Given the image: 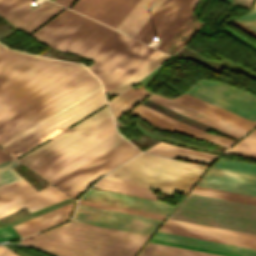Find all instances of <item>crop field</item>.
I'll use <instances>...</instances> for the list:
<instances>
[{"instance_id":"crop-field-1","label":"crop field","mask_w":256,"mask_h":256,"mask_svg":"<svg viewBox=\"0 0 256 256\" xmlns=\"http://www.w3.org/2000/svg\"><path fill=\"white\" fill-rule=\"evenodd\" d=\"M93 78L81 65L37 56L1 75L0 134Z\"/></svg>"},{"instance_id":"crop-field-2","label":"crop field","mask_w":256,"mask_h":256,"mask_svg":"<svg viewBox=\"0 0 256 256\" xmlns=\"http://www.w3.org/2000/svg\"><path fill=\"white\" fill-rule=\"evenodd\" d=\"M147 237L70 222L20 243L58 256H133Z\"/></svg>"},{"instance_id":"crop-field-3","label":"crop field","mask_w":256,"mask_h":256,"mask_svg":"<svg viewBox=\"0 0 256 256\" xmlns=\"http://www.w3.org/2000/svg\"><path fill=\"white\" fill-rule=\"evenodd\" d=\"M206 168L142 153L103 178L151 187L173 196L175 192L186 194Z\"/></svg>"},{"instance_id":"crop-field-4","label":"crop field","mask_w":256,"mask_h":256,"mask_svg":"<svg viewBox=\"0 0 256 256\" xmlns=\"http://www.w3.org/2000/svg\"><path fill=\"white\" fill-rule=\"evenodd\" d=\"M170 219L256 234V206L189 194Z\"/></svg>"},{"instance_id":"crop-field-5","label":"crop field","mask_w":256,"mask_h":256,"mask_svg":"<svg viewBox=\"0 0 256 256\" xmlns=\"http://www.w3.org/2000/svg\"><path fill=\"white\" fill-rule=\"evenodd\" d=\"M113 31L66 9L31 35L58 50L81 56Z\"/></svg>"},{"instance_id":"crop-field-6","label":"crop field","mask_w":256,"mask_h":256,"mask_svg":"<svg viewBox=\"0 0 256 256\" xmlns=\"http://www.w3.org/2000/svg\"><path fill=\"white\" fill-rule=\"evenodd\" d=\"M105 105L99 90L3 149L17 158Z\"/></svg>"},{"instance_id":"crop-field-7","label":"crop field","mask_w":256,"mask_h":256,"mask_svg":"<svg viewBox=\"0 0 256 256\" xmlns=\"http://www.w3.org/2000/svg\"><path fill=\"white\" fill-rule=\"evenodd\" d=\"M197 185L256 196V165L219 159Z\"/></svg>"},{"instance_id":"crop-field-8","label":"crop field","mask_w":256,"mask_h":256,"mask_svg":"<svg viewBox=\"0 0 256 256\" xmlns=\"http://www.w3.org/2000/svg\"><path fill=\"white\" fill-rule=\"evenodd\" d=\"M186 94L256 122V97L222 83L200 81Z\"/></svg>"},{"instance_id":"crop-field-9","label":"crop field","mask_w":256,"mask_h":256,"mask_svg":"<svg viewBox=\"0 0 256 256\" xmlns=\"http://www.w3.org/2000/svg\"><path fill=\"white\" fill-rule=\"evenodd\" d=\"M137 153L130 144L124 142L54 185L73 197L85 190L93 180Z\"/></svg>"},{"instance_id":"crop-field-10","label":"crop field","mask_w":256,"mask_h":256,"mask_svg":"<svg viewBox=\"0 0 256 256\" xmlns=\"http://www.w3.org/2000/svg\"><path fill=\"white\" fill-rule=\"evenodd\" d=\"M72 221L147 235H150L161 222L160 220L80 205L77 206Z\"/></svg>"},{"instance_id":"crop-field-11","label":"crop field","mask_w":256,"mask_h":256,"mask_svg":"<svg viewBox=\"0 0 256 256\" xmlns=\"http://www.w3.org/2000/svg\"><path fill=\"white\" fill-rule=\"evenodd\" d=\"M140 43L135 39L115 31L85 53L83 57L95 61L87 68L97 76Z\"/></svg>"},{"instance_id":"crop-field-12","label":"crop field","mask_w":256,"mask_h":256,"mask_svg":"<svg viewBox=\"0 0 256 256\" xmlns=\"http://www.w3.org/2000/svg\"><path fill=\"white\" fill-rule=\"evenodd\" d=\"M62 193L51 186L37 192L25 180L0 189V217Z\"/></svg>"},{"instance_id":"crop-field-13","label":"crop field","mask_w":256,"mask_h":256,"mask_svg":"<svg viewBox=\"0 0 256 256\" xmlns=\"http://www.w3.org/2000/svg\"><path fill=\"white\" fill-rule=\"evenodd\" d=\"M160 51L142 43L99 76L104 92H107Z\"/></svg>"},{"instance_id":"crop-field-14","label":"crop field","mask_w":256,"mask_h":256,"mask_svg":"<svg viewBox=\"0 0 256 256\" xmlns=\"http://www.w3.org/2000/svg\"><path fill=\"white\" fill-rule=\"evenodd\" d=\"M132 113H134L138 117L144 119L145 121H147L155 126H158V127H161V128L173 131V132L197 137V138L204 139V140L214 142V143H217L220 145H224L227 147H229L231 144H233L235 142V140H231L228 138H224L221 136H217L214 134L204 132L202 130H199L190 125H187L185 123H182L180 121L172 119L168 116H165L163 114H160L158 112L150 110L141 105H139L135 109H133Z\"/></svg>"},{"instance_id":"crop-field-15","label":"crop field","mask_w":256,"mask_h":256,"mask_svg":"<svg viewBox=\"0 0 256 256\" xmlns=\"http://www.w3.org/2000/svg\"><path fill=\"white\" fill-rule=\"evenodd\" d=\"M199 0H176L144 41L150 42L154 35L161 38L158 48L162 49L173 34L179 29L189 15L194 11Z\"/></svg>"},{"instance_id":"crop-field-16","label":"crop field","mask_w":256,"mask_h":256,"mask_svg":"<svg viewBox=\"0 0 256 256\" xmlns=\"http://www.w3.org/2000/svg\"><path fill=\"white\" fill-rule=\"evenodd\" d=\"M83 200L167 215L172 206L163 202L90 189Z\"/></svg>"},{"instance_id":"crop-field-17","label":"crop field","mask_w":256,"mask_h":256,"mask_svg":"<svg viewBox=\"0 0 256 256\" xmlns=\"http://www.w3.org/2000/svg\"><path fill=\"white\" fill-rule=\"evenodd\" d=\"M31 1H22L2 17L14 26L30 33L64 8L47 1L33 12L24 7Z\"/></svg>"},{"instance_id":"crop-field-18","label":"crop field","mask_w":256,"mask_h":256,"mask_svg":"<svg viewBox=\"0 0 256 256\" xmlns=\"http://www.w3.org/2000/svg\"><path fill=\"white\" fill-rule=\"evenodd\" d=\"M123 141H125V139L116 132L73 160L43 177L54 184Z\"/></svg>"},{"instance_id":"crop-field-19","label":"crop field","mask_w":256,"mask_h":256,"mask_svg":"<svg viewBox=\"0 0 256 256\" xmlns=\"http://www.w3.org/2000/svg\"><path fill=\"white\" fill-rule=\"evenodd\" d=\"M148 100L155 102L159 105H162L168 109H171L175 112H178L180 114H183L187 117H190L192 119H195L197 121H200L204 124H207L209 126H212L216 129H219L221 131H224L226 133H229L233 136H236L238 138H240L241 136H243L245 133H247V131L242 130L238 127H235L233 125H230L226 122H223L222 120L215 118L213 116H210L208 114H205L203 112H200L198 110H195L193 108H190L188 106H185L183 104H180L178 102H175L173 100L170 99H166L162 96L159 95H155V94H151L150 97L148 98Z\"/></svg>"},{"instance_id":"crop-field-20","label":"crop field","mask_w":256,"mask_h":256,"mask_svg":"<svg viewBox=\"0 0 256 256\" xmlns=\"http://www.w3.org/2000/svg\"><path fill=\"white\" fill-rule=\"evenodd\" d=\"M159 232H165L175 235H181L186 237H192L202 240H208L213 242H219L224 244H230L240 247H246L251 249H256V240L246 239V238H240L225 234H219L209 231H203L193 228H187L177 225H171L163 223L162 226L158 230Z\"/></svg>"},{"instance_id":"crop-field-21","label":"crop field","mask_w":256,"mask_h":256,"mask_svg":"<svg viewBox=\"0 0 256 256\" xmlns=\"http://www.w3.org/2000/svg\"><path fill=\"white\" fill-rule=\"evenodd\" d=\"M108 115H110L108 107H105L18 160L27 165Z\"/></svg>"},{"instance_id":"crop-field-22","label":"crop field","mask_w":256,"mask_h":256,"mask_svg":"<svg viewBox=\"0 0 256 256\" xmlns=\"http://www.w3.org/2000/svg\"><path fill=\"white\" fill-rule=\"evenodd\" d=\"M164 0H139L116 29L135 36Z\"/></svg>"},{"instance_id":"crop-field-23","label":"crop field","mask_w":256,"mask_h":256,"mask_svg":"<svg viewBox=\"0 0 256 256\" xmlns=\"http://www.w3.org/2000/svg\"><path fill=\"white\" fill-rule=\"evenodd\" d=\"M111 124H113L111 116H108L27 166L35 171Z\"/></svg>"},{"instance_id":"crop-field-24","label":"crop field","mask_w":256,"mask_h":256,"mask_svg":"<svg viewBox=\"0 0 256 256\" xmlns=\"http://www.w3.org/2000/svg\"><path fill=\"white\" fill-rule=\"evenodd\" d=\"M73 203L15 225L13 228L21 237H24L54 224L65 221L69 218Z\"/></svg>"},{"instance_id":"crop-field-25","label":"crop field","mask_w":256,"mask_h":256,"mask_svg":"<svg viewBox=\"0 0 256 256\" xmlns=\"http://www.w3.org/2000/svg\"><path fill=\"white\" fill-rule=\"evenodd\" d=\"M144 152L205 164H209L218 157L217 155L194 151L162 142Z\"/></svg>"},{"instance_id":"crop-field-26","label":"crop field","mask_w":256,"mask_h":256,"mask_svg":"<svg viewBox=\"0 0 256 256\" xmlns=\"http://www.w3.org/2000/svg\"><path fill=\"white\" fill-rule=\"evenodd\" d=\"M152 238L158 239V240L174 242V243L190 245V246L206 248V249H212V250H217V251H222V252H228V253H233V254H238V255L256 256V250L240 248V247H235V246H230V245H224V244H219V243H213V242H208V241H202V240L186 238V237H181V236H175V235H170V234H165V233L156 232Z\"/></svg>"},{"instance_id":"crop-field-27","label":"crop field","mask_w":256,"mask_h":256,"mask_svg":"<svg viewBox=\"0 0 256 256\" xmlns=\"http://www.w3.org/2000/svg\"><path fill=\"white\" fill-rule=\"evenodd\" d=\"M137 1L138 0H106L92 19L115 28Z\"/></svg>"},{"instance_id":"crop-field-28","label":"crop field","mask_w":256,"mask_h":256,"mask_svg":"<svg viewBox=\"0 0 256 256\" xmlns=\"http://www.w3.org/2000/svg\"><path fill=\"white\" fill-rule=\"evenodd\" d=\"M173 100L178 101L180 103H183L185 105H188L190 107H193L195 109H198L200 111H203L205 113H208L210 115H213L215 117H218L220 119H223V120H225L227 122H230V123H232L234 125L242 127V128H244L246 130H248L253 125H255V123H253V122H250V121H248L246 119H243V118L238 117V116H236L234 114L226 112V111H224L222 109L214 107V106H212L210 104L202 102V101H200L198 99L190 97V96H188L186 94H183V95H181V96H179V97H177V98H175Z\"/></svg>"},{"instance_id":"crop-field-29","label":"crop field","mask_w":256,"mask_h":256,"mask_svg":"<svg viewBox=\"0 0 256 256\" xmlns=\"http://www.w3.org/2000/svg\"><path fill=\"white\" fill-rule=\"evenodd\" d=\"M114 132H116L115 127L114 125H111L108 128L101 131L100 133L96 134L95 136L91 137L90 139L86 140L80 145L76 146L72 150L68 151L67 153L63 154L62 156L58 157L52 162L48 163L44 167L40 169L38 168L39 170L35 172L39 173L42 176L47 174L48 172L52 171L56 167L75 157L79 153L83 152L84 150L88 149L89 147L93 146L94 144L98 143L99 141L103 140L104 138H106L107 136L111 135Z\"/></svg>"},{"instance_id":"crop-field-30","label":"crop field","mask_w":256,"mask_h":256,"mask_svg":"<svg viewBox=\"0 0 256 256\" xmlns=\"http://www.w3.org/2000/svg\"><path fill=\"white\" fill-rule=\"evenodd\" d=\"M201 24L202 23H200L192 13L185 23L180 27V29L175 33V35L170 39V41L165 45L162 51L173 55L188 42Z\"/></svg>"},{"instance_id":"crop-field-31","label":"crop field","mask_w":256,"mask_h":256,"mask_svg":"<svg viewBox=\"0 0 256 256\" xmlns=\"http://www.w3.org/2000/svg\"><path fill=\"white\" fill-rule=\"evenodd\" d=\"M148 94L149 92L145 91L143 87L137 90L130 87L109 103L113 117L122 115Z\"/></svg>"},{"instance_id":"crop-field-32","label":"crop field","mask_w":256,"mask_h":256,"mask_svg":"<svg viewBox=\"0 0 256 256\" xmlns=\"http://www.w3.org/2000/svg\"><path fill=\"white\" fill-rule=\"evenodd\" d=\"M138 256H220L148 242Z\"/></svg>"},{"instance_id":"crop-field-33","label":"crop field","mask_w":256,"mask_h":256,"mask_svg":"<svg viewBox=\"0 0 256 256\" xmlns=\"http://www.w3.org/2000/svg\"><path fill=\"white\" fill-rule=\"evenodd\" d=\"M93 187L99 188V189L115 191V192H120V193L136 195V196L150 198V199H154V200H156L158 198H160L162 200L165 199L163 197L153 194L149 190V188L130 185V184H124V183H119V182H114V181H109V180H104V179H101Z\"/></svg>"},{"instance_id":"crop-field-34","label":"crop field","mask_w":256,"mask_h":256,"mask_svg":"<svg viewBox=\"0 0 256 256\" xmlns=\"http://www.w3.org/2000/svg\"><path fill=\"white\" fill-rule=\"evenodd\" d=\"M168 57H169L168 55H166L162 52L159 53L157 56H155L153 59H151L145 65L140 67L138 70H136L130 76H128L126 79L121 81L119 84H117L111 90H109L107 93L114 94V95L120 94L122 91H124L126 88H128L130 85H132L134 82H136L138 79H140L142 76H144L146 73H148L150 70H152L154 67H156L158 64H160L162 61H164Z\"/></svg>"},{"instance_id":"crop-field-35","label":"crop field","mask_w":256,"mask_h":256,"mask_svg":"<svg viewBox=\"0 0 256 256\" xmlns=\"http://www.w3.org/2000/svg\"><path fill=\"white\" fill-rule=\"evenodd\" d=\"M97 82L99 81L96 78L91 80L90 82L86 83L85 85L81 86L80 88L76 89L70 94L64 96L63 98L59 99L58 101L54 102L53 104L49 105L48 107L44 108L43 110L29 117L28 119L24 120L18 125L2 133L0 135V141L6 138L7 136L11 135L12 133L16 132L17 130L21 129L22 127L26 126L27 124L31 123L32 121L36 120L37 118L41 117L42 115L46 114L47 112L54 109L55 107L59 106L60 104L64 103L65 101L69 100L70 98L74 97L75 95L79 94L80 92L84 91L85 89L89 88L90 86L94 85Z\"/></svg>"},{"instance_id":"crop-field-36","label":"crop field","mask_w":256,"mask_h":256,"mask_svg":"<svg viewBox=\"0 0 256 256\" xmlns=\"http://www.w3.org/2000/svg\"><path fill=\"white\" fill-rule=\"evenodd\" d=\"M203 196L256 205V197L195 186L191 192Z\"/></svg>"},{"instance_id":"crop-field-37","label":"crop field","mask_w":256,"mask_h":256,"mask_svg":"<svg viewBox=\"0 0 256 256\" xmlns=\"http://www.w3.org/2000/svg\"><path fill=\"white\" fill-rule=\"evenodd\" d=\"M30 57H32V55L8 49L3 51L0 53V75L29 59Z\"/></svg>"},{"instance_id":"crop-field-38","label":"crop field","mask_w":256,"mask_h":256,"mask_svg":"<svg viewBox=\"0 0 256 256\" xmlns=\"http://www.w3.org/2000/svg\"><path fill=\"white\" fill-rule=\"evenodd\" d=\"M19 164L21 163L14 158L0 163V188L23 180L22 177L14 172L15 170L11 169Z\"/></svg>"},{"instance_id":"crop-field-39","label":"crop field","mask_w":256,"mask_h":256,"mask_svg":"<svg viewBox=\"0 0 256 256\" xmlns=\"http://www.w3.org/2000/svg\"><path fill=\"white\" fill-rule=\"evenodd\" d=\"M174 2L175 0H165L163 4L158 8V10L147 21V23L142 27V29L137 33L135 38L142 41Z\"/></svg>"},{"instance_id":"crop-field-40","label":"crop field","mask_w":256,"mask_h":256,"mask_svg":"<svg viewBox=\"0 0 256 256\" xmlns=\"http://www.w3.org/2000/svg\"><path fill=\"white\" fill-rule=\"evenodd\" d=\"M78 204L101 208V209L112 210V211H117V212H123V213H128V214H133V215H139V216H144V217H149V218H155V219H160V220H163V218H164L163 215L152 214V213H147V212H142V211H136V210L126 209V208H120V207H115V206H110V205H104V204H99V203H94V202L83 201V200H80Z\"/></svg>"},{"instance_id":"crop-field-41","label":"crop field","mask_w":256,"mask_h":256,"mask_svg":"<svg viewBox=\"0 0 256 256\" xmlns=\"http://www.w3.org/2000/svg\"><path fill=\"white\" fill-rule=\"evenodd\" d=\"M98 86H100V83L95 84L94 86L90 87L89 89L85 90L84 92L80 93L79 95L75 96L74 98L70 99L69 101L65 102L64 104L60 105L59 107L55 108L54 110L50 111L46 115L42 116L41 118L37 119L36 121L32 122L31 124L27 125L26 127L22 128L21 130L17 131L16 133L7 137L6 139L2 140L0 142V145H2L5 142L9 141L10 139L14 138L15 136L19 135L20 133L24 132L28 128L32 127L33 125L37 124L38 122H40L43 119L47 118L48 116L52 115L53 113L57 112L58 110L62 109L65 106H67L68 104L72 103L76 99L80 98L81 96L85 95L86 93L90 92L91 90L95 89Z\"/></svg>"},{"instance_id":"crop-field-42","label":"crop field","mask_w":256,"mask_h":256,"mask_svg":"<svg viewBox=\"0 0 256 256\" xmlns=\"http://www.w3.org/2000/svg\"><path fill=\"white\" fill-rule=\"evenodd\" d=\"M104 1L105 0H78L72 10L91 18Z\"/></svg>"},{"instance_id":"crop-field-43","label":"crop field","mask_w":256,"mask_h":256,"mask_svg":"<svg viewBox=\"0 0 256 256\" xmlns=\"http://www.w3.org/2000/svg\"><path fill=\"white\" fill-rule=\"evenodd\" d=\"M165 222L166 223L177 224V225H182V226L198 228V229L214 231V232H220V233H225V234H230V235H236V236H241V237H246V238L256 239V235H250V234L234 232V231H229V230H224V229H218V228H213V227H208V226H202V225H197V224H192V223H186V222H181V221H176V220L167 219Z\"/></svg>"},{"instance_id":"crop-field-44","label":"crop field","mask_w":256,"mask_h":256,"mask_svg":"<svg viewBox=\"0 0 256 256\" xmlns=\"http://www.w3.org/2000/svg\"><path fill=\"white\" fill-rule=\"evenodd\" d=\"M101 89V87L96 88L95 90L91 91L90 93L86 94L85 96L81 97L80 99L76 100L75 102H73L72 104L68 105L67 107L63 108L62 110L58 111L57 113L53 114L52 116L48 117L47 119L43 120L42 122L38 123L37 125L33 126L32 128L28 129L27 131H25L24 133L20 134L19 136L15 137L14 139L10 140L9 142L5 143L4 145L0 146V147H5L8 144L12 143L13 141L17 140L18 138H20L21 136L25 135L26 133L30 132L31 130L35 129L36 127L40 126L41 124L45 123L46 121L50 120L51 118H53L54 116L58 115L59 113L63 112L64 110L68 109L69 107L73 106L74 104L78 103L79 101L83 100L84 98H86L87 96L91 95L92 93L96 92L97 90ZM98 92V91H97ZM93 95V94H92ZM88 98V97H87Z\"/></svg>"},{"instance_id":"crop-field-45","label":"crop field","mask_w":256,"mask_h":256,"mask_svg":"<svg viewBox=\"0 0 256 256\" xmlns=\"http://www.w3.org/2000/svg\"><path fill=\"white\" fill-rule=\"evenodd\" d=\"M66 198H68V196H66L64 193H62V194H60V195H57V196L52 197V198H49V199L44 200V201H42V202H39V203H37V204L31 205V206L27 207L26 209H23V211H24L26 214H28V213H30V212H33V211H35V210H38V209L43 208V207H45V206L51 205V204H53V203H56V202H58V201H61V200H63V199H66Z\"/></svg>"},{"instance_id":"crop-field-46","label":"crop field","mask_w":256,"mask_h":256,"mask_svg":"<svg viewBox=\"0 0 256 256\" xmlns=\"http://www.w3.org/2000/svg\"><path fill=\"white\" fill-rule=\"evenodd\" d=\"M256 32V8L245 17L236 20Z\"/></svg>"},{"instance_id":"crop-field-47","label":"crop field","mask_w":256,"mask_h":256,"mask_svg":"<svg viewBox=\"0 0 256 256\" xmlns=\"http://www.w3.org/2000/svg\"><path fill=\"white\" fill-rule=\"evenodd\" d=\"M235 148L256 152V139L245 137L241 140Z\"/></svg>"},{"instance_id":"crop-field-48","label":"crop field","mask_w":256,"mask_h":256,"mask_svg":"<svg viewBox=\"0 0 256 256\" xmlns=\"http://www.w3.org/2000/svg\"><path fill=\"white\" fill-rule=\"evenodd\" d=\"M17 238L20 237L15 233V231L11 227H0V241H6Z\"/></svg>"},{"instance_id":"crop-field-49","label":"crop field","mask_w":256,"mask_h":256,"mask_svg":"<svg viewBox=\"0 0 256 256\" xmlns=\"http://www.w3.org/2000/svg\"><path fill=\"white\" fill-rule=\"evenodd\" d=\"M150 241H151V242H156V243H162V244L172 245V246H178V247L188 248V249H194V250L204 251V252H210V253H215V254H220V255L238 256V255H233V254H228V253H222V252H217V251H212V250H206V249H201V248H196V247H190V246H185V245H180V244H174V243H169V242H164V241H158V240H153V239H150Z\"/></svg>"},{"instance_id":"crop-field-50","label":"crop field","mask_w":256,"mask_h":256,"mask_svg":"<svg viewBox=\"0 0 256 256\" xmlns=\"http://www.w3.org/2000/svg\"><path fill=\"white\" fill-rule=\"evenodd\" d=\"M22 0H0V15L2 16Z\"/></svg>"},{"instance_id":"crop-field-51","label":"crop field","mask_w":256,"mask_h":256,"mask_svg":"<svg viewBox=\"0 0 256 256\" xmlns=\"http://www.w3.org/2000/svg\"><path fill=\"white\" fill-rule=\"evenodd\" d=\"M226 154H232V155H237V156H242V157H247V158H252L256 159V153L248 152V151H243L235 148L228 149Z\"/></svg>"},{"instance_id":"crop-field-52","label":"crop field","mask_w":256,"mask_h":256,"mask_svg":"<svg viewBox=\"0 0 256 256\" xmlns=\"http://www.w3.org/2000/svg\"><path fill=\"white\" fill-rule=\"evenodd\" d=\"M235 5L244 6L250 8L253 0H227Z\"/></svg>"},{"instance_id":"crop-field-53","label":"crop field","mask_w":256,"mask_h":256,"mask_svg":"<svg viewBox=\"0 0 256 256\" xmlns=\"http://www.w3.org/2000/svg\"><path fill=\"white\" fill-rule=\"evenodd\" d=\"M233 25H235L236 27H238L239 29L243 30L244 32H246L247 34L251 35L252 37L256 38V33L253 32L252 30L248 29L247 27L241 25L240 23L238 22H233L231 23Z\"/></svg>"},{"instance_id":"crop-field-54","label":"crop field","mask_w":256,"mask_h":256,"mask_svg":"<svg viewBox=\"0 0 256 256\" xmlns=\"http://www.w3.org/2000/svg\"><path fill=\"white\" fill-rule=\"evenodd\" d=\"M0 256H18L11 251L7 250L6 248L0 246Z\"/></svg>"},{"instance_id":"crop-field-55","label":"crop field","mask_w":256,"mask_h":256,"mask_svg":"<svg viewBox=\"0 0 256 256\" xmlns=\"http://www.w3.org/2000/svg\"><path fill=\"white\" fill-rule=\"evenodd\" d=\"M75 0H54V2H57V3H59V4H62V5H64V6H66V7H70L71 6V4L74 2Z\"/></svg>"},{"instance_id":"crop-field-56","label":"crop field","mask_w":256,"mask_h":256,"mask_svg":"<svg viewBox=\"0 0 256 256\" xmlns=\"http://www.w3.org/2000/svg\"><path fill=\"white\" fill-rule=\"evenodd\" d=\"M10 158H12V157L7 155V154H5L3 156H0V162L5 161V160L10 159Z\"/></svg>"},{"instance_id":"crop-field-57","label":"crop field","mask_w":256,"mask_h":256,"mask_svg":"<svg viewBox=\"0 0 256 256\" xmlns=\"http://www.w3.org/2000/svg\"><path fill=\"white\" fill-rule=\"evenodd\" d=\"M248 137H252V138H256V129L254 131H252L249 135H247Z\"/></svg>"},{"instance_id":"crop-field-58","label":"crop field","mask_w":256,"mask_h":256,"mask_svg":"<svg viewBox=\"0 0 256 256\" xmlns=\"http://www.w3.org/2000/svg\"><path fill=\"white\" fill-rule=\"evenodd\" d=\"M5 49H7V48H5L4 46H2V45L0 44V52L3 51V50H5Z\"/></svg>"},{"instance_id":"crop-field-59","label":"crop field","mask_w":256,"mask_h":256,"mask_svg":"<svg viewBox=\"0 0 256 256\" xmlns=\"http://www.w3.org/2000/svg\"><path fill=\"white\" fill-rule=\"evenodd\" d=\"M3 154H5V153H4L3 151H1V150H0V155H3Z\"/></svg>"},{"instance_id":"crop-field-60","label":"crop field","mask_w":256,"mask_h":256,"mask_svg":"<svg viewBox=\"0 0 256 256\" xmlns=\"http://www.w3.org/2000/svg\"><path fill=\"white\" fill-rule=\"evenodd\" d=\"M255 7H256V5H255Z\"/></svg>"}]
</instances>
